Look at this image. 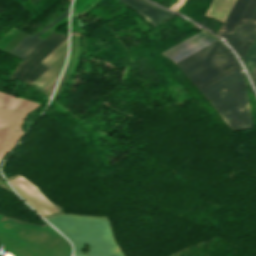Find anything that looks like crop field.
<instances>
[{"mask_svg":"<svg viewBox=\"0 0 256 256\" xmlns=\"http://www.w3.org/2000/svg\"><path fill=\"white\" fill-rule=\"evenodd\" d=\"M10 184L42 216L57 210L27 181L22 178L10 181Z\"/></svg>","mask_w":256,"mask_h":256,"instance_id":"crop-field-9","label":"crop field"},{"mask_svg":"<svg viewBox=\"0 0 256 256\" xmlns=\"http://www.w3.org/2000/svg\"><path fill=\"white\" fill-rule=\"evenodd\" d=\"M92 0H75L73 3V16L78 15Z\"/></svg>","mask_w":256,"mask_h":256,"instance_id":"crop-field-16","label":"crop field"},{"mask_svg":"<svg viewBox=\"0 0 256 256\" xmlns=\"http://www.w3.org/2000/svg\"><path fill=\"white\" fill-rule=\"evenodd\" d=\"M30 1H32V0H30Z\"/></svg>","mask_w":256,"mask_h":256,"instance_id":"crop-field-20","label":"crop field"},{"mask_svg":"<svg viewBox=\"0 0 256 256\" xmlns=\"http://www.w3.org/2000/svg\"><path fill=\"white\" fill-rule=\"evenodd\" d=\"M38 106L36 102L0 93V160L22 135L19 127L25 115Z\"/></svg>","mask_w":256,"mask_h":256,"instance_id":"crop-field-3","label":"crop field"},{"mask_svg":"<svg viewBox=\"0 0 256 256\" xmlns=\"http://www.w3.org/2000/svg\"><path fill=\"white\" fill-rule=\"evenodd\" d=\"M154 26L172 18L173 14L152 6L143 0H121Z\"/></svg>","mask_w":256,"mask_h":256,"instance_id":"crop-field-11","label":"crop field"},{"mask_svg":"<svg viewBox=\"0 0 256 256\" xmlns=\"http://www.w3.org/2000/svg\"><path fill=\"white\" fill-rule=\"evenodd\" d=\"M231 131L253 127L240 70L200 90Z\"/></svg>","mask_w":256,"mask_h":256,"instance_id":"crop-field-2","label":"crop field"},{"mask_svg":"<svg viewBox=\"0 0 256 256\" xmlns=\"http://www.w3.org/2000/svg\"><path fill=\"white\" fill-rule=\"evenodd\" d=\"M243 60L252 74L256 66V37Z\"/></svg>","mask_w":256,"mask_h":256,"instance_id":"crop-field-15","label":"crop field"},{"mask_svg":"<svg viewBox=\"0 0 256 256\" xmlns=\"http://www.w3.org/2000/svg\"><path fill=\"white\" fill-rule=\"evenodd\" d=\"M255 36L256 0H251L228 42L243 59Z\"/></svg>","mask_w":256,"mask_h":256,"instance_id":"crop-field-6","label":"crop field"},{"mask_svg":"<svg viewBox=\"0 0 256 256\" xmlns=\"http://www.w3.org/2000/svg\"><path fill=\"white\" fill-rule=\"evenodd\" d=\"M229 54L231 53L217 41L175 64L188 78Z\"/></svg>","mask_w":256,"mask_h":256,"instance_id":"crop-field-5","label":"crop field"},{"mask_svg":"<svg viewBox=\"0 0 256 256\" xmlns=\"http://www.w3.org/2000/svg\"><path fill=\"white\" fill-rule=\"evenodd\" d=\"M19 30L12 28L0 39V49L5 46L17 33Z\"/></svg>","mask_w":256,"mask_h":256,"instance_id":"crop-field-17","label":"crop field"},{"mask_svg":"<svg viewBox=\"0 0 256 256\" xmlns=\"http://www.w3.org/2000/svg\"><path fill=\"white\" fill-rule=\"evenodd\" d=\"M47 220L73 242L75 251L81 252L83 245H90L87 254L73 256H123L105 217L61 215Z\"/></svg>","mask_w":256,"mask_h":256,"instance_id":"crop-field-1","label":"crop field"},{"mask_svg":"<svg viewBox=\"0 0 256 256\" xmlns=\"http://www.w3.org/2000/svg\"><path fill=\"white\" fill-rule=\"evenodd\" d=\"M215 41L217 40L201 31L161 54L175 63Z\"/></svg>","mask_w":256,"mask_h":256,"instance_id":"crop-field-10","label":"crop field"},{"mask_svg":"<svg viewBox=\"0 0 256 256\" xmlns=\"http://www.w3.org/2000/svg\"><path fill=\"white\" fill-rule=\"evenodd\" d=\"M67 36L56 32L43 40L26 58L23 59L20 66L14 71L11 77L31 83L47 68L38 63L49 54L60 42Z\"/></svg>","mask_w":256,"mask_h":256,"instance_id":"crop-field-4","label":"crop field"},{"mask_svg":"<svg viewBox=\"0 0 256 256\" xmlns=\"http://www.w3.org/2000/svg\"><path fill=\"white\" fill-rule=\"evenodd\" d=\"M67 21H68V16H66L64 19L59 21L57 24H55L53 27H51L49 30H47L45 33H43L38 38L43 40L44 38H46L48 35H50L52 32H54L56 29H58L61 25H63Z\"/></svg>","mask_w":256,"mask_h":256,"instance_id":"crop-field-18","label":"crop field"},{"mask_svg":"<svg viewBox=\"0 0 256 256\" xmlns=\"http://www.w3.org/2000/svg\"><path fill=\"white\" fill-rule=\"evenodd\" d=\"M250 0H236L234 6L232 7L229 15L227 16L225 22L220 28L218 34H220L227 41L233 32L236 24L238 23L241 15L243 14L245 8L247 7Z\"/></svg>","mask_w":256,"mask_h":256,"instance_id":"crop-field-13","label":"crop field"},{"mask_svg":"<svg viewBox=\"0 0 256 256\" xmlns=\"http://www.w3.org/2000/svg\"><path fill=\"white\" fill-rule=\"evenodd\" d=\"M67 53V38L59 44L47 57L41 62L49 65L50 67L39 76L33 83L46 89L54 81L58 79L59 73L64 65ZM61 74V73H60Z\"/></svg>","mask_w":256,"mask_h":256,"instance_id":"crop-field-8","label":"crop field"},{"mask_svg":"<svg viewBox=\"0 0 256 256\" xmlns=\"http://www.w3.org/2000/svg\"><path fill=\"white\" fill-rule=\"evenodd\" d=\"M252 76H253V79H254V81H255V83H256V68H255V70H254Z\"/></svg>","mask_w":256,"mask_h":256,"instance_id":"crop-field-19","label":"crop field"},{"mask_svg":"<svg viewBox=\"0 0 256 256\" xmlns=\"http://www.w3.org/2000/svg\"><path fill=\"white\" fill-rule=\"evenodd\" d=\"M68 10H65L62 14H60L55 20L49 23L46 27H44L39 32L35 33L33 36L27 35L11 52L10 54L17 56L23 59L26 55H28L42 40L37 37L57 23L59 20L68 15Z\"/></svg>","mask_w":256,"mask_h":256,"instance_id":"crop-field-12","label":"crop field"},{"mask_svg":"<svg viewBox=\"0 0 256 256\" xmlns=\"http://www.w3.org/2000/svg\"><path fill=\"white\" fill-rule=\"evenodd\" d=\"M238 68L231 54L188 79L200 90Z\"/></svg>","mask_w":256,"mask_h":256,"instance_id":"crop-field-7","label":"crop field"},{"mask_svg":"<svg viewBox=\"0 0 256 256\" xmlns=\"http://www.w3.org/2000/svg\"><path fill=\"white\" fill-rule=\"evenodd\" d=\"M235 0H213L206 15L224 22Z\"/></svg>","mask_w":256,"mask_h":256,"instance_id":"crop-field-14","label":"crop field"}]
</instances>
